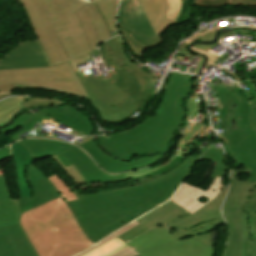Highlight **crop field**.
<instances>
[{
    "label": "crop field",
    "instance_id": "1",
    "mask_svg": "<svg viewBox=\"0 0 256 256\" xmlns=\"http://www.w3.org/2000/svg\"><path fill=\"white\" fill-rule=\"evenodd\" d=\"M19 1L52 67L0 70V85L17 84V88H40L87 98L74 70L79 72L77 65L85 61L93 62L91 56H99L98 46L119 34L115 26L118 0Z\"/></svg>",
    "mask_w": 256,
    "mask_h": 256
},
{
    "label": "crop field",
    "instance_id": "2",
    "mask_svg": "<svg viewBox=\"0 0 256 256\" xmlns=\"http://www.w3.org/2000/svg\"><path fill=\"white\" fill-rule=\"evenodd\" d=\"M200 155H191L173 171L137 187L87 196L81 195L76 187H71L79 200L68 205L89 238L97 243L168 200Z\"/></svg>",
    "mask_w": 256,
    "mask_h": 256
},
{
    "label": "crop field",
    "instance_id": "3",
    "mask_svg": "<svg viewBox=\"0 0 256 256\" xmlns=\"http://www.w3.org/2000/svg\"><path fill=\"white\" fill-rule=\"evenodd\" d=\"M47 178L61 198L22 214L20 223L39 256H72L93 242L66 203L77 200L71 188L57 174Z\"/></svg>",
    "mask_w": 256,
    "mask_h": 256
},
{
    "label": "crop field",
    "instance_id": "4",
    "mask_svg": "<svg viewBox=\"0 0 256 256\" xmlns=\"http://www.w3.org/2000/svg\"><path fill=\"white\" fill-rule=\"evenodd\" d=\"M193 76L171 73L163 100L153 116L121 134L101 138V145L122 159L164 152L183 120L182 100L191 91Z\"/></svg>",
    "mask_w": 256,
    "mask_h": 256
},
{
    "label": "crop field",
    "instance_id": "5",
    "mask_svg": "<svg viewBox=\"0 0 256 256\" xmlns=\"http://www.w3.org/2000/svg\"><path fill=\"white\" fill-rule=\"evenodd\" d=\"M216 91L223 109L221 124L230 133L222 134L221 141L231 152L228 156L233 168L232 178L240 171L250 173L248 181L256 182V131L251 127L250 114L254 107L240 93L238 87L228 88L219 82L211 88ZM255 153V154H253Z\"/></svg>",
    "mask_w": 256,
    "mask_h": 256
},
{
    "label": "crop field",
    "instance_id": "6",
    "mask_svg": "<svg viewBox=\"0 0 256 256\" xmlns=\"http://www.w3.org/2000/svg\"><path fill=\"white\" fill-rule=\"evenodd\" d=\"M76 74L101 119L123 120L137 109L145 111L152 99V94L140 91L138 80L124 70L103 79L94 78L91 70Z\"/></svg>",
    "mask_w": 256,
    "mask_h": 256
},
{
    "label": "crop field",
    "instance_id": "7",
    "mask_svg": "<svg viewBox=\"0 0 256 256\" xmlns=\"http://www.w3.org/2000/svg\"><path fill=\"white\" fill-rule=\"evenodd\" d=\"M227 186L220 194L200 211L191 215L176 204L168 201L145 216L135 220L140 224L132 230L118 236L125 243L138 235L166 224L176 240L213 231L215 227L225 224L219 211Z\"/></svg>",
    "mask_w": 256,
    "mask_h": 256
},
{
    "label": "crop field",
    "instance_id": "8",
    "mask_svg": "<svg viewBox=\"0 0 256 256\" xmlns=\"http://www.w3.org/2000/svg\"><path fill=\"white\" fill-rule=\"evenodd\" d=\"M212 232L176 241L166 225L127 242L140 256H212Z\"/></svg>",
    "mask_w": 256,
    "mask_h": 256
},
{
    "label": "crop field",
    "instance_id": "9",
    "mask_svg": "<svg viewBox=\"0 0 256 256\" xmlns=\"http://www.w3.org/2000/svg\"><path fill=\"white\" fill-rule=\"evenodd\" d=\"M27 148L33 159L31 162L55 155L67 167L73 164L89 182H113L127 179L125 173L107 175L76 146L49 139H25L19 142Z\"/></svg>",
    "mask_w": 256,
    "mask_h": 256
},
{
    "label": "crop field",
    "instance_id": "10",
    "mask_svg": "<svg viewBox=\"0 0 256 256\" xmlns=\"http://www.w3.org/2000/svg\"><path fill=\"white\" fill-rule=\"evenodd\" d=\"M253 184L232 179L231 188L223 206V215L231 230L230 241L225 256H241L242 240H250L248 214L243 211V204L249 198Z\"/></svg>",
    "mask_w": 256,
    "mask_h": 256
},
{
    "label": "crop field",
    "instance_id": "11",
    "mask_svg": "<svg viewBox=\"0 0 256 256\" xmlns=\"http://www.w3.org/2000/svg\"><path fill=\"white\" fill-rule=\"evenodd\" d=\"M118 20L120 28L136 55L159 45L161 39L152 30L139 0H121Z\"/></svg>",
    "mask_w": 256,
    "mask_h": 256
},
{
    "label": "crop field",
    "instance_id": "12",
    "mask_svg": "<svg viewBox=\"0 0 256 256\" xmlns=\"http://www.w3.org/2000/svg\"><path fill=\"white\" fill-rule=\"evenodd\" d=\"M101 57L105 67L112 66L113 71L126 70L134 75L140 82L141 90H145L149 83L148 73L140 70L135 63L131 61L126 50L124 49L123 41L120 36L106 41L100 46Z\"/></svg>",
    "mask_w": 256,
    "mask_h": 256
},
{
    "label": "crop field",
    "instance_id": "13",
    "mask_svg": "<svg viewBox=\"0 0 256 256\" xmlns=\"http://www.w3.org/2000/svg\"><path fill=\"white\" fill-rule=\"evenodd\" d=\"M50 66L38 39L20 44L0 61V69Z\"/></svg>",
    "mask_w": 256,
    "mask_h": 256
},
{
    "label": "crop field",
    "instance_id": "14",
    "mask_svg": "<svg viewBox=\"0 0 256 256\" xmlns=\"http://www.w3.org/2000/svg\"><path fill=\"white\" fill-rule=\"evenodd\" d=\"M222 178L216 177L212 184L203 191L188 184H182L179 191L170 199L191 214L200 210L204 205L213 200L220 192Z\"/></svg>",
    "mask_w": 256,
    "mask_h": 256
},
{
    "label": "crop field",
    "instance_id": "15",
    "mask_svg": "<svg viewBox=\"0 0 256 256\" xmlns=\"http://www.w3.org/2000/svg\"><path fill=\"white\" fill-rule=\"evenodd\" d=\"M81 148L87 151L89 155L97 162V164L104 171L111 172V173H118V172L128 171V170L144 167L147 165H151L161 160L163 157L162 155H156L154 157L140 158L138 161H135V162L118 161L104 154L98 148L93 138L82 143Z\"/></svg>",
    "mask_w": 256,
    "mask_h": 256
},
{
    "label": "crop field",
    "instance_id": "16",
    "mask_svg": "<svg viewBox=\"0 0 256 256\" xmlns=\"http://www.w3.org/2000/svg\"><path fill=\"white\" fill-rule=\"evenodd\" d=\"M0 256H38L20 224L0 227Z\"/></svg>",
    "mask_w": 256,
    "mask_h": 256
},
{
    "label": "crop field",
    "instance_id": "17",
    "mask_svg": "<svg viewBox=\"0 0 256 256\" xmlns=\"http://www.w3.org/2000/svg\"><path fill=\"white\" fill-rule=\"evenodd\" d=\"M45 122H49L51 124L56 125L58 121L55 119L46 116V115H33V114H23L17 119H15L14 123L5 129H0V138L5 136L7 133H10L18 128H22L21 130L11 134L9 137L13 140H19L25 137H43V138H56L55 134H41L40 127ZM59 139V138H58ZM61 140V139H59Z\"/></svg>",
    "mask_w": 256,
    "mask_h": 256
},
{
    "label": "crop field",
    "instance_id": "18",
    "mask_svg": "<svg viewBox=\"0 0 256 256\" xmlns=\"http://www.w3.org/2000/svg\"><path fill=\"white\" fill-rule=\"evenodd\" d=\"M29 179L36 192L33 198L19 199L21 214L49 200L59 197L46 176L33 164L29 169ZM20 214V216H21ZM20 221V217L18 222Z\"/></svg>",
    "mask_w": 256,
    "mask_h": 256
},
{
    "label": "crop field",
    "instance_id": "19",
    "mask_svg": "<svg viewBox=\"0 0 256 256\" xmlns=\"http://www.w3.org/2000/svg\"><path fill=\"white\" fill-rule=\"evenodd\" d=\"M34 114H46L52 116L56 120L73 128L74 130L71 132V134L73 135L85 136L78 132L92 133V127L90 122L77 110L67 105L55 109H43Z\"/></svg>",
    "mask_w": 256,
    "mask_h": 256
},
{
    "label": "crop field",
    "instance_id": "20",
    "mask_svg": "<svg viewBox=\"0 0 256 256\" xmlns=\"http://www.w3.org/2000/svg\"><path fill=\"white\" fill-rule=\"evenodd\" d=\"M19 214L18 199H12L3 169H0V226L17 223Z\"/></svg>",
    "mask_w": 256,
    "mask_h": 256
},
{
    "label": "crop field",
    "instance_id": "21",
    "mask_svg": "<svg viewBox=\"0 0 256 256\" xmlns=\"http://www.w3.org/2000/svg\"><path fill=\"white\" fill-rule=\"evenodd\" d=\"M12 154L15 163V175L19 198L32 197V190L25 179V167L32 159L25 147L16 143L12 144Z\"/></svg>",
    "mask_w": 256,
    "mask_h": 256
},
{
    "label": "crop field",
    "instance_id": "22",
    "mask_svg": "<svg viewBox=\"0 0 256 256\" xmlns=\"http://www.w3.org/2000/svg\"><path fill=\"white\" fill-rule=\"evenodd\" d=\"M146 15L153 27L155 29L161 20L164 18L167 11V1L166 0H140Z\"/></svg>",
    "mask_w": 256,
    "mask_h": 256
},
{
    "label": "crop field",
    "instance_id": "23",
    "mask_svg": "<svg viewBox=\"0 0 256 256\" xmlns=\"http://www.w3.org/2000/svg\"><path fill=\"white\" fill-rule=\"evenodd\" d=\"M206 153V152H205ZM201 159V158H200ZM201 160H209L217 162V165H214L213 170L210 174L211 182L216 176L227 177L229 178V169L226 165L223 153L218 149H209L207 153L202 157ZM200 160V161H201Z\"/></svg>",
    "mask_w": 256,
    "mask_h": 256
},
{
    "label": "crop field",
    "instance_id": "24",
    "mask_svg": "<svg viewBox=\"0 0 256 256\" xmlns=\"http://www.w3.org/2000/svg\"><path fill=\"white\" fill-rule=\"evenodd\" d=\"M28 99L27 97H13L0 102V125H3L19 111L25 110L21 102Z\"/></svg>",
    "mask_w": 256,
    "mask_h": 256
},
{
    "label": "crop field",
    "instance_id": "25",
    "mask_svg": "<svg viewBox=\"0 0 256 256\" xmlns=\"http://www.w3.org/2000/svg\"><path fill=\"white\" fill-rule=\"evenodd\" d=\"M206 118H207V113L205 111V114L201 113V118L199 120V123L198 124L194 123V125L191 124L188 127V129L182 134V136L178 139V141H177V143L175 145V148H174L172 153L187 159L185 155H187L189 153L188 150H189V148H192V146H187V145H184V144L189 139V137L193 133H195L203 125V123L206 120ZM179 145H181V146H179Z\"/></svg>",
    "mask_w": 256,
    "mask_h": 256
},
{
    "label": "crop field",
    "instance_id": "26",
    "mask_svg": "<svg viewBox=\"0 0 256 256\" xmlns=\"http://www.w3.org/2000/svg\"><path fill=\"white\" fill-rule=\"evenodd\" d=\"M125 246L127 245L124 242L116 238L84 256H110L111 254L121 250Z\"/></svg>",
    "mask_w": 256,
    "mask_h": 256
},
{
    "label": "crop field",
    "instance_id": "27",
    "mask_svg": "<svg viewBox=\"0 0 256 256\" xmlns=\"http://www.w3.org/2000/svg\"><path fill=\"white\" fill-rule=\"evenodd\" d=\"M29 99L22 103L25 109L43 107V106H55L59 104L67 103L66 101L50 99V98H37L28 97Z\"/></svg>",
    "mask_w": 256,
    "mask_h": 256
},
{
    "label": "crop field",
    "instance_id": "28",
    "mask_svg": "<svg viewBox=\"0 0 256 256\" xmlns=\"http://www.w3.org/2000/svg\"><path fill=\"white\" fill-rule=\"evenodd\" d=\"M226 4H250L256 5V0H197L196 5L202 7L223 6Z\"/></svg>",
    "mask_w": 256,
    "mask_h": 256
},
{
    "label": "crop field",
    "instance_id": "29",
    "mask_svg": "<svg viewBox=\"0 0 256 256\" xmlns=\"http://www.w3.org/2000/svg\"><path fill=\"white\" fill-rule=\"evenodd\" d=\"M219 29H221V28H220L219 26H217V27H215V28H213V29H211V30H208V31H206V32H204V33H202V34H199V33L195 34V35L192 36L190 39H188L187 41H185L186 43L183 44V46L181 47L182 49L180 50L179 53H181V54H187V55H190V57H193V55H191L190 53H188L187 50H186V47L188 46V44H190L191 42H193V41H195V40L211 41V40L214 39V33H215V31H216V30H219ZM208 32H211L213 35L208 36V37H206V36L203 37V36H202V35H204V34H206V33H208Z\"/></svg>",
    "mask_w": 256,
    "mask_h": 256
},
{
    "label": "crop field",
    "instance_id": "30",
    "mask_svg": "<svg viewBox=\"0 0 256 256\" xmlns=\"http://www.w3.org/2000/svg\"><path fill=\"white\" fill-rule=\"evenodd\" d=\"M185 106H186L187 112H188L187 123L185 125V127H186L191 122V120H189L190 117L192 115L196 116L198 114V111L200 108V100H199V98H189L186 101ZM185 127L182 129V131L185 129Z\"/></svg>",
    "mask_w": 256,
    "mask_h": 256
},
{
    "label": "crop field",
    "instance_id": "31",
    "mask_svg": "<svg viewBox=\"0 0 256 256\" xmlns=\"http://www.w3.org/2000/svg\"><path fill=\"white\" fill-rule=\"evenodd\" d=\"M249 214L250 234L252 235V251L250 256H256V213Z\"/></svg>",
    "mask_w": 256,
    "mask_h": 256
},
{
    "label": "crop field",
    "instance_id": "32",
    "mask_svg": "<svg viewBox=\"0 0 256 256\" xmlns=\"http://www.w3.org/2000/svg\"><path fill=\"white\" fill-rule=\"evenodd\" d=\"M181 9V0H168V12L165 17L167 18H178Z\"/></svg>",
    "mask_w": 256,
    "mask_h": 256
},
{
    "label": "crop field",
    "instance_id": "33",
    "mask_svg": "<svg viewBox=\"0 0 256 256\" xmlns=\"http://www.w3.org/2000/svg\"><path fill=\"white\" fill-rule=\"evenodd\" d=\"M54 158L57 160V162L63 167V169L66 171V173L70 176V178L74 181L76 185L81 183H87L84 178L79 174V172L74 168L73 165L65 168L59 160L54 156Z\"/></svg>",
    "mask_w": 256,
    "mask_h": 256
},
{
    "label": "crop field",
    "instance_id": "34",
    "mask_svg": "<svg viewBox=\"0 0 256 256\" xmlns=\"http://www.w3.org/2000/svg\"><path fill=\"white\" fill-rule=\"evenodd\" d=\"M252 193H251V198L253 199L252 201L247 202L244 205V211L246 212H256V183L252 187Z\"/></svg>",
    "mask_w": 256,
    "mask_h": 256
},
{
    "label": "crop field",
    "instance_id": "35",
    "mask_svg": "<svg viewBox=\"0 0 256 256\" xmlns=\"http://www.w3.org/2000/svg\"><path fill=\"white\" fill-rule=\"evenodd\" d=\"M192 49H193V51H196L198 53H202V54L208 56L209 57L208 64H211V65H214V66L217 65L218 56H216V55H214V54H212L210 52L199 50V49H196V48H193V47H192Z\"/></svg>",
    "mask_w": 256,
    "mask_h": 256
},
{
    "label": "crop field",
    "instance_id": "36",
    "mask_svg": "<svg viewBox=\"0 0 256 256\" xmlns=\"http://www.w3.org/2000/svg\"><path fill=\"white\" fill-rule=\"evenodd\" d=\"M231 35L234 36L233 31H231V32H229V33H227V34H220L218 42H219L221 39H223V38H225V37H228V36H231ZM218 42H217L216 44H214V45H199V44H196V45H193V47L200 48V49H203V50L208 51V50H210L211 48H213L214 46H216L217 44H219Z\"/></svg>",
    "mask_w": 256,
    "mask_h": 256
},
{
    "label": "crop field",
    "instance_id": "37",
    "mask_svg": "<svg viewBox=\"0 0 256 256\" xmlns=\"http://www.w3.org/2000/svg\"><path fill=\"white\" fill-rule=\"evenodd\" d=\"M176 20L164 18L160 25L154 30L158 35L164 31L169 24H174Z\"/></svg>",
    "mask_w": 256,
    "mask_h": 256
},
{
    "label": "crop field",
    "instance_id": "38",
    "mask_svg": "<svg viewBox=\"0 0 256 256\" xmlns=\"http://www.w3.org/2000/svg\"><path fill=\"white\" fill-rule=\"evenodd\" d=\"M152 171L153 170L151 168L147 167V168H143V169L127 172L126 175H127L128 178H133V177H137V176H140V175H144V174L150 173Z\"/></svg>",
    "mask_w": 256,
    "mask_h": 256
},
{
    "label": "crop field",
    "instance_id": "39",
    "mask_svg": "<svg viewBox=\"0 0 256 256\" xmlns=\"http://www.w3.org/2000/svg\"><path fill=\"white\" fill-rule=\"evenodd\" d=\"M136 253L130 246L125 247L121 251L111 255V256H134L137 255Z\"/></svg>",
    "mask_w": 256,
    "mask_h": 256
},
{
    "label": "crop field",
    "instance_id": "40",
    "mask_svg": "<svg viewBox=\"0 0 256 256\" xmlns=\"http://www.w3.org/2000/svg\"><path fill=\"white\" fill-rule=\"evenodd\" d=\"M116 237H117V236H115V235L112 234V235L108 236L107 238H105L103 241H101V242H99L98 244H96L95 246H93L92 248H90V249H88V250H86V251H84V252H82V253H80V254H78V255H76V256H82V255H84V254L90 252L91 250H93V249H95V248H97V247H99V246L105 244L106 242H108V241H110L111 239H114V238H116Z\"/></svg>",
    "mask_w": 256,
    "mask_h": 256
},
{
    "label": "crop field",
    "instance_id": "41",
    "mask_svg": "<svg viewBox=\"0 0 256 256\" xmlns=\"http://www.w3.org/2000/svg\"><path fill=\"white\" fill-rule=\"evenodd\" d=\"M247 82L245 81H239L241 84H245L246 86L248 85L252 95L254 96V98H256V86L255 84L250 80H246Z\"/></svg>",
    "mask_w": 256,
    "mask_h": 256
},
{
    "label": "crop field",
    "instance_id": "42",
    "mask_svg": "<svg viewBox=\"0 0 256 256\" xmlns=\"http://www.w3.org/2000/svg\"><path fill=\"white\" fill-rule=\"evenodd\" d=\"M251 241H243L242 256H249L251 251Z\"/></svg>",
    "mask_w": 256,
    "mask_h": 256
},
{
    "label": "crop field",
    "instance_id": "43",
    "mask_svg": "<svg viewBox=\"0 0 256 256\" xmlns=\"http://www.w3.org/2000/svg\"><path fill=\"white\" fill-rule=\"evenodd\" d=\"M10 157H11V153H10L9 146L0 150V160L7 159Z\"/></svg>",
    "mask_w": 256,
    "mask_h": 256
},
{
    "label": "crop field",
    "instance_id": "44",
    "mask_svg": "<svg viewBox=\"0 0 256 256\" xmlns=\"http://www.w3.org/2000/svg\"><path fill=\"white\" fill-rule=\"evenodd\" d=\"M138 223H136L135 221L134 222H132V223H130L129 225H127L126 227H124V228H122V229H120V230H118V231H116V232H114L115 233V235H120V234H122V233H124V232H126V231H128V230H130V229H132L133 227H135L136 225H137Z\"/></svg>",
    "mask_w": 256,
    "mask_h": 256
},
{
    "label": "crop field",
    "instance_id": "45",
    "mask_svg": "<svg viewBox=\"0 0 256 256\" xmlns=\"http://www.w3.org/2000/svg\"><path fill=\"white\" fill-rule=\"evenodd\" d=\"M250 104H252L255 107L254 113L251 114V118H252V126L253 128L256 130V99H252L250 100Z\"/></svg>",
    "mask_w": 256,
    "mask_h": 256
},
{
    "label": "crop field",
    "instance_id": "46",
    "mask_svg": "<svg viewBox=\"0 0 256 256\" xmlns=\"http://www.w3.org/2000/svg\"><path fill=\"white\" fill-rule=\"evenodd\" d=\"M16 88V85H2L0 91H12Z\"/></svg>",
    "mask_w": 256,
    "mask_h": 256
},
{
    "label": "crop field",
    "instance_id": "47",
    "mask_svg": "<svg viewBox=\"0 0 256 256\" xmlns=\"http://www.w3.org/2000/svg\"><path fill=\"white\" fill-rule=\"evenodd\" d=\"M210 130H212L211 129V127L210 126H207L204 130H202L197 136L199 137V138H201V137H204V136H206V132H208V131H210Z\"/></svg>",
    "mask_w": 256,
    "mask_h": 256
},
{
    "label": "crop field",
    "instance_id": "48",
    "mask_svg": "<svg viewBox=\"0 0 256 256\" xmlns=\"http://www.w3.org/2000/svg\"><path fill=\"white\" fill-rule=\"evenodd\" d=\"M9 95H12V93L11 92H0V99L5 96H9Z\"/></svg>",
    "mask_w": 256,
    "mask_h": 256
},
{
    "label": "crop field",
    "instance_id": "49",
    "mask_svg": "<svg viewBox=\"0 0 256 256\" xmlns=\"http://www.w3.org/2000/svg\"><path fill=\"white\" fill-rule=\"evenodd\" d=\"M198 57H200V59H199L200 63H199V65H198L197 70H196L195 73H198V72H199V69H201V68H199V66H202V63H203V57H201V56H198Z\"/></svg>",
    "mask_w": 256,
    "mask_h": 256
},
{
    "label": "crop field",
    "instance_id": "50",
    "mask_svg": "<svg viewBox=\"0 0 256 256\" xmlns=\"http://www.w3.org/2000/svg\"><path fill=\"white\" fill-rule=\"evenodd\" d=\"M236 27V26H235ZM239 27H250V28H256L255 26H239ZM233 28V27H230Z\"/></svg>",
    "mask_w": 256,
    "mask_h": 256
},
{
    "label": "crop field",
    "instance_id": "51",
    "mask_svg": "<svg viewBox=\"0 0 256 256\" xmlns=\"http://www.w3.org/2000/svg\"><path fill=\"white\" fill-rule=\"evenodd\" d=\"M196 0H193V2L195 3Z\"/></svg>",
    "mask_w": 256,
    "mask_h": 256
},
{
    "label": "crop field",
    "instance_id": "52",
    "mask_svg": "<svg viewBox=\"0 0 256 256\" xmlns=\"http://www.w3.org/2000/svg\"><path fill=\"white\" fill-rule=\"evenodd\" d=\"M137 256H139V255H137Z\"/></svg>",
    "mask_w": 256,
    "mask_h": 256
},
{
    "label": "crop field",
    "instance_id": "53",
    "mask_svg": "<svg viewBox=\"0 0 256 256\" xmlns=\"http://www.w3.org/2000/svg\"><path fill=\"white\" fill-rule=\"evenodd\" d=\"M91 1V0H90Z\"/></svg>",
    "mask_w": 256,
    "mask_h": 256
}]
</instances>
